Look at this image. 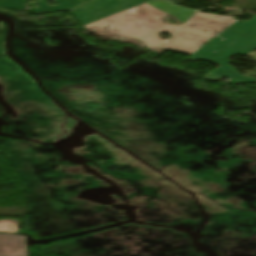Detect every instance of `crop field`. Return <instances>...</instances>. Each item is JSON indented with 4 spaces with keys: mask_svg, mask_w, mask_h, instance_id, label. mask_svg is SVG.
Returning a JSON list of instances; mask_svg holds the SVG:
<instances>
[{
    "mask_svg": "<svg viewBox=\"0 0 256 256\" xmlns=\"http://www.w3.org/2000/svg\"><path fill=\"white\" fill-rule=\"evenodd\" d=\"M0 256H27L25 237L0 234Z\"/></svg>",
    "mask_w": 256,
    "mask_h": 256,
    "instance_id": "8a807250",
    "label": "crop field"
},
{
    "mask_svg": "<svg viewBox=\"0 0 256 256\" xmlns=\"http://www.w3.org/2000/svg\"><path fill=\"white\" fill-rule=\"evenodd\" d=\"M18 221H12V220H2L0 221V232H9V233H15L17 232V224Z\"/></svg>",
    "mask_w": 256,
    "mask_h": 256,
    "instance_id": "ac0d7876",
    "label": "crop field"
}]
</instances>
